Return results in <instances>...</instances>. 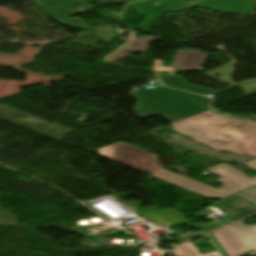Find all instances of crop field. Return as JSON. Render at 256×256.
Instances as JSON below:
<instances>
[{"mask_svg":"<svg viewBox=\"0 0 256 256\" xmlns=\"http://www.w3.org/2000/svg\"><path fill=\"white\" fill-rule=\"evenodd\" d=\"M170 126V130L212 149L256 158V121L233 120L207 111ZM245 164L256 169V159Z\"/></svg>","mask_w":256,"mask_h":256,"instance_id":"1","label":"crop field"},{"mask_svg":"<svg viewBox=\"0 0 256 256\" xmlns=\"http://www.w3.org/2000/svg\"><path fill=\"white\" fill-rule=\"evenodd\" d=\"M105 158L129 166L131 168L141 167L152 172L151 176L170 182L187 190L193 191L207 198L218 197L223 199L234 194L225 189H217L190 178L163 169L157 164L154 154L141 150L123 142L108 145L98 150Z\"/></svg>","mask_w":256,"mask_h":256,"instance_id":"2","label":"crop field"},{"mask_svg":"<svg viewBox=\"0 0 256 256\" xmlns=\"http://www.w3.org/2000/svg\"><path fill=\"white\" fill-rule=\"evenodd\" d=\"M131 94L138 102L133 110L140 119L160 115L172 123L207 111L197 106L188 93L166 87L141 89Z\"/></svg>","mask_w":256,"mask_h":256,"instance_id":"3","label":"crop field"},{"mask_svg":"<svg viewBox=\"0 0 256 256\" xmlns=\"http://www.w3.org/2000/svg\"><path fill=\"white\" fill-rule=\"evenodd\" d=\"M219 176L221 179L215 182L223 185L224 188L239 192L256 184V177L249 179L230 165L223 163L215 167L206 169Z\"/></svg>","mask_w":256,"mask_h":256,"instance_id":"4","label":"crop field"},{"mask_svg":"<svg viewBox=\"0 0 256 256\" xmlns=\"http://www.w3.org/2000/svg\"><path fill=\"white\" fill-rule=\"evenodd\" d=\"M208 55L199 50L178 51L172 66L181 67V71L202 70L200 67L206 61ZM163 61L154 60L153 71H179L176 68L162 67Z\"/></svg>","mask_w":256,"mask_h":256,"instance_id":"5","label":"crop field"},{"mask_svg":"<svg viewBox=\"0 0 256 256\" xmlns=\"http://www.w3.org/2000/svg\"><path fill=\"white\" fill-rule=\"evenodd\" d=\"M228 256H243L247 251L229 227L212 232Z\"/></svg>","mask_w":256,"mask_h":256,"instance_id":"6","label":"crop field"},{"mask_svg":"<svg viewBox=\"0 0 256 256\" xmlns=\"http://www.w3.org/2000/svg\"><path fill=\"white\" fill-rule=\"evenodd\" d=\"M141 213H143L156 224H170L172 227H174L185 223L181 215L175 211L151 208L141 211Z\"/></svg>","mask_w":256,"mask_h":256,"instance_id":"7","label":"crop field"},{"mask_svg":"<svg viewBox=\"0 0 256 256\" xmlns=\"http://www.w3.org/2000/svg\"><path fill=\"white\" fill-rule=\"evenodd\" d=\"M136 32H132L131 38L127 45L123 49H119L114 54L110 56V61L115 63L121 59L128 58L129 54L127 52H141L146 51L148 43L152 40H161L155 37H144V38H135ZM153 42V41H152ZM143 43L144 48L140 50L139 45Z\"/></svg>","mask_w":256,"mask_h":256,"instance_id":"8","label":"crop field"},{"mask_svg":"<svg viewBox=\"0 0 256 256\" xmlns=\"http://www.w3.org/2000/svg\"><path fill=\"white\" fill-rule=\"evenodd\" d=\"M249 251L256 252V224L247 225L242 221L231 225Z\"/></svg>","mask_w":256,"mask_h":256,"instance_id":"9","label":"crop field"},{"mask_svg":"<svg viewBox=\"0 0 256 256\" xmlns=\"http://www.w3.org/2000/svg\"><path fill=\"white\" fill-rule=\"evenodd\" d=\"M220 202L228 204L233 207H236L243 211L249 212L251 214L256 213V204L252 205L250 200H248L238 194H235V195H233L229 198H226Z\"/></svg>","mask_w":256,"mask_h":256,"instance_id":"10","label":"crop field"},{"mask_svg":"<svg viewBox=\"0 0 256 256\" xmlns=\"http://www.w3.org/2000/svg\"><path fill=\"white\" fill-rule=\"evenodd\" d=\"M173 253L175 256H220L218 252L201 255L191 242H186L178 246Z\"/></svg>","mask_w":256,"mask_h":256,"instance_id":"11","label":"crop field"},{"mask_svg":"<svg viewBox=\"0 0 256 256\" xmlns=\"http://www.w3.org/2000/svg\"><path fill=\"white\" fill-rule=\"evenodd\" d=\"M218 207H219V209L225 211L228 214V216L231 218L232 221H236L238 219H241L243 217L251 215V214H248V213L243 212L241 210L230 207L228 205L222 204L220 202H219Z\"/></svg>","mask_w":256,"mask_h":256,"instance_id":"12","label":"crop field"},{"mask_svg":"<svg viewBox=\"0 0 256 256\" xmlns=\"http://www.w3.org/2000/svg\"><path fill=\"white\" fill-rule=\"evenodd\" d=\"M158 78L164 85L185 90L180 76H158Z\"/></svg>","mask_w":256,"mask_h":256,"instance_id":"13","label":"crop field"},{"mask_svg":"<svg viewBox=\"0 0 256 256\" xmlns=\"http://www.w3.org/2000/svg\"><path fill=\"white\" fill-rule=\"evenodd\" d=\"M185 85H186V89L189 92H194V93H198V94H202V95L217 92V91H213V90H210V89H206V88L199 87V86L192 85V84H188V83H185Z\"/></svg>","mask_w":256,"mask_h":256,"instance_id":"14","label":"crop field"},{"mask_svg":"<svg viewBox=\"0 0 256 256\" xmlns=\"http://www.w3.org/2000/svg\"><path fill=\"white\" fill-rule=\"evenodd\" d=\"M191 95V94H190ZM191 97L194 99V101L204 107V108H207L209 107V104H210V99L206 98V97H202V96H197V95H191Z\"/></svg>","mask_w":256,"mask_h":256,"instance_id":"15","label":"crop field"},{"mask_svg":"<svg viewBox=\"0 0 256 256\" xmlns=\"http://www.w3.org/2000/svg\"><path fill=\"white\" fill-rule=\"evenodd\" d=\"M256 202V186L239 193Z\"/></svg>","mask_w":256,"mask_h":256,"instance_id":"16","label":"crop field"},{"mask_svg":"<svg viewBox=\"0 0 256 256\" xmlns=\"http://www.w3.org/2000/svg\"><path fill=\"white\" fill-rule=\"evenodd\" d=\"M186 221V225H191V226H197V227H203V228H207L208 230L210 229H214V228H217V227H221V225L213 222L211 224H191L189 223L187 220Z\"/></svg>","mask_w":256,"mask_h":256,"instance_id":"17","label":"crop field"},{"mask_svg":"<svg viewBox=\"0 0 256 256\" xmlns=\"http://www.w3.org/2000/svg\"><path fill=\"white\" fill-rule=\"evenodd\" d=\"M208 235L211 237L213 243L215 244V246L217 247V249L219 250V252H220L223 256H226V254L223 252V250L220 248V246L217 244V242L214 240V238L211 236V234L208 233Z\"/></svg>","mask_w":256,"mask_h":256,"instance_id":"18","label":"crop field"}]
</instances>
